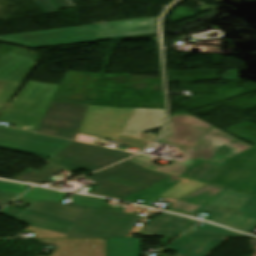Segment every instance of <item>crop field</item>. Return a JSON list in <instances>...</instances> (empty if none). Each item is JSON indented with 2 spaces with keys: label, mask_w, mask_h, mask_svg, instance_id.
<instances>
[{
  "label": "crop field",
  "mask_w": 256,
  "mask_h": 256,
  "mask_svg": "<svg viewBox=\"0 0 256 256\" xmlns=\"http://www.w3.org/2000/svg\"><path fill=\"white\" fill-rule=\"evenodd\" d=\"M19 193L0 191V200L11 201L15 199Z\"/></svg>",
  "instance_id": "27"
},
{
  "label": "crop field",
  "mask_w": 256,
  "mask_h": 256,
  "mask_svg": "<svg viewBox=\"0 0 256 256\" xmlns=\"http://www.w3.org/2000/svg\"><path fill=\"white\" fill-rule=\"evenodd\" d=\"M182 236L196 237H248L223 228L205 223L201 228H194Z\"/></svg>",
  "instance_id": "22"
},
{
  "label": "crop field",
  "mask_w": 256,
  "mask_h": 256,
  "mask_svg": "<svg viewBox=\"0 0 256 256\" xmlns=\"http://www.w3.org/2000/svg\"><path fill=\"white\" fill-rule=\"evenodd\" d=\"M8 202H0V208H2L3 206H5Z\"/></svg>",
  "instance_id": "28"
},
{
  "label": "crop field",
  "mask_w": 256,
  "mask_h": 256,
  "mask_svg": "<svg viewBox=\"0 0 256 256\" xmlns=\"http://www.w3.org/2000/svg\"><path fill=\"white\" fill-rule=\"evenodd\" d=\"M72 201L76 205L102 208L107 200L106 199H100V198H94V197L79 196V195L73 194Z\"/></svg>",
  "instance_id": "25"
},
{
  "label": "crop field",
  "mask_w": 256,
  "mask_h": 256,
  "mask_svg": "<svg viewBox=\"0 0 256 256\" xmlns=\"http://www.w3.org/2000/svg\"><path fill=\"white\" fill-rule=\"evenodd\" d=\"M196 223L187 218L162 213L150 219L138 236H177Z\"/></svg>",
  "instance_id": "17"
},
{
  "label": "crop field",
  "mask_w": 256,
  "mask_h": 256,
  "mask_svg": "<svg viewBox=\"0 0 256 256\" xmlns=\"http://www.w3.org/2000/svg\"><path fill=\"white\" fill-rule=\"evenodd\" d=\"M158 141L176 145L183 149L184 160L180 163L174 162L162 168L151 164V162L156 159L144 157L142 155L128 161L152 170L154 172L166 175H174L206 184L209 183V181L226 162V160H223L221 158L212 156L210 154L201 152L199 150L190 148L188 146L179 144L163 137H161Z\"/></svg>",
  "instance_id": "9"
},
{
  "label": "crop field",
  "mask_w": 256,
  "mask_h": 256,
  "mask_svg": "<svg viewBox=\"0 0 256 256\" xmlns=\"http://www.w3.org/2000/svg\"><path fill=\"white\" fill-rule=\"evenodd\" d=\"M221 190L222 188L170 176L124 201L135 203L141 199L145 201L140 205L146 206L158 196L166 197L178 200L168 211L189 215Z\"/></svg>",
  "instance_id": "5"
},
{
  "label": "crop field",
  "mask_w": 256,
  "mask_h": 256,
  "mask_svg": "<svg viewBox=\"0 0 256 256\" xmlns=\"http://www.w3.org/2000/svg\"><path fill=\"white\" fill-rule=\"evenodd\" d=\"M31 203L25 210L7 206L0 214L19 222L67 234L87 207L23 199Z\"/></svg>",
  "instance_id": "6"
},
{
  "label": "crop field",
  "mask_w": 256,
  "mask_h": 256,
  "mask_svg": "<svg viewBox=\"0 0 256 256\" xmlns=\"http://www.w3.org/2000/svg\"><path fill=\"white\" fill-rule=\"evenodd\" d=\"M73 141L13 130L0 126V148L54 158Z\"/></svg>",
  "instance_id": "13"
},
{
  "label": "crop field",
  "mask_w": 256,
  "mask_h": 256,
  "mask_svg": "<svg viewBox=\"0 0 256 256\" xmlns=\"http://www.w3.org/2000/svg\"><path fill=\"white\" fill-rule=\"evenodd\" d=\"M37 240L56 247L50 256H105V238Z\"/></svg>",
  "instance_id": "16"
},
{
  "label": "crop field",
  "mask_w": 256,
  "mask_h": 256,
  "mask_svg": "<svg viewBox=\"0 0 256 256\" xmlns=\"http://www.w3.org/2000/svg\"><path fill=\"white\" fill-rule=\"evenodd\" d=\"M98 75L67 71L37 132L74 140Z\"/></svg>",
  "instance_id": "2"
},
{
  "label": "crop field",
  "mask_w": 256,
  "mask_h": 256,
  "mask_svg": "<svg viewBox=\"0 0 256 256\" xmlns=\"http://www.w3.org/2000/svg\"><path fill=\"white\" fill-rule=\"evenodd\" d=\"M58 86L30 81L6 111L43 118ZM27 102L30 105H25Z\"/></svg>",
  "instance_id": "15"
},
{
  "label": "crop field",
  "mask_w": 256,
  "mask_h": 256,
  "mask_svg": "<svg viewBox=\"0 0 256 256\" xmlns=\"http://www.w3.org/2000/svg\"><path fill=\"white\" fill-rule=\"evenodd\" d=\"M226 239L179 237L165 249L178 252L175 256H207Z\"/></svg>",
  "instance_id": "18"
},
{
  "label": "crop field",
  "mask_w": 256,
  "mask_h": 256,
  "mask_svg": "<svg viewBox=\"0 0 256 256\" xmlns=\"http://www.w3.org/2000/svg\"><path fill=\"white\" fill-rule=\"evenodd\" d=\"M163 137L226 160L253 147L183 111L169 117Z\"/></svg>",
  "instance_id": "4"
},
{
  "label": "crop field",
  "mask_w": 256,
  "mask_h": 256,
  "mask_svg": "<svg viewBox=\"0 0 256 256\" xmlns=\"http://www.w3.org/2000/svg\"><path fill=\"white\" fill-rule=\"evenodd\" d=\"M254 256H256V252H255Z\"/></svg>",
  "instance_id": "29"
},
{
  "label": "crop field",
  "mask_w": 256,
  "mask_h": 256,
  "mask_svg": "<svg viewBox=\"0 0 256 256\" xmlns=\"http://www.w3.org/2000/svg\"><path fill=\"white\" fill-rule=\"evenodd\" d=\"M61 170L63 169H60L58 167H55L49 164L39 172L27 169L12 180H17L22 182H32L35 184H48V183L54 182L48 178L58 173Z\"/></svg>",
  "instance_id": "20"
},
{
  "label": "crop field",
  "mask_w": 256,
  "mask_h": 256,
  "mask_svg": "<svg viewBox=\"0 0 256 256\" xmlns=\"http://www.w3.org/2000/svg\"><path fill=\"white\" fill-rule=\"evenodd\" d=\"M140 239L106 238V256H139Z\"/></svg>",
  "instance_id": "19"
},
{
  "label": "crop field",
  "mask_w": 256,
  "mask_h": 256,
  "mask_svg": "<svg viewBox=\"0 0 256 256\" xmlns=\"http://www.w3.org/2000/svg\"><path fill=\"white\" fill-rule=\"evenodd\" d=\"M58 8L75 6L70 0H52ZM44 14L57 13L56 8L50 0H34Z\"/></svg>",
  "instance_id": "24"
},
{
  "label": "crop field",
  "mask_w": 256,
  "mask_h": 256,
  "mask_svg": "<svg viewBox=\"0 0 256 256\" xmlns=\"http://www.w3.org/2000/svg\"><path fill=\"white\" fill-rule=\"evenodd\" d=\"M158 17L83 27L0 36V41L16 42L29 47L103 40L156 33Z\"/></svg>",
  "instance_id": "3"
},
{
  "label": "crop field",
  "mask_w": 256,
  "mask_h": 256,
  "mask_svg": "<svg viewBox=\"0 0 256 256\" xmlns=\"http://www.w3.org/2000/svg\"><path fill=\"white\" fill-rule=\"evenodd\" d=\"M139 219L124 212L89 208L65 238L127 237Z\"/></svg>",
  "instance_id": "10"
},
{
  "label": "crop field",
  "mask_w": 256,
  "mask_h": 256,
  "mask_svg": "<svg viewBox=\"0 0 256 256\" xmlns=\"http://www.w3.org/2000/svg\"><path fill=\"white\" fill-rule=\"evenodd\" d=\"M131 155L133 154L74 142L51 163L75 171L83 169L92 172Z\"/></svg>",
  "instance_id": "11"
},
{
  "label": "crop field",
  "mask_w": 256,
  "mask_h": 256,
  "mask_svg": "<svg viewBox=\"0 0 256 256\" xmlns=\"http://www.w3.org/2000/svg\"><path fill=\"white\" fill-rule=\"evenodd\" d=\"M30 187L31 186H24V185H20V184L0 182V190H4V191L23 193Z\"/></svg>",
  "instance_id": "26"
},
{
  "label": "crop field",
  "mask_w": 256,
  "mask_h": 256,
  "mask_svg": "<svg viewBox=\"0 0 256 256\" xmlns=\"http://www.w3.org/2000/svg\"><path fill=\"white\" fill-rule=\"evenodd\" d=\"M37 59V55L18 49L0 55V111L25 80Z\"/></svg>",
  "instance_id": "14"
},
{
  "label": "crop field",
  "mask_w": 256,
  "mask_h": 256,
  "mask_svg": "<svg viewBox=\"0 0 256 256\" xmlns=\"http://www.w3.org/2000/svg\"><path fill=\"white\" fill-rule=\"evenodd\" d=\"M164 112L88 105L78 132L128 142L129 147L142 150L156 137L143 133L160 127Z\"/></svg>",
  "instance_id": "1"
},
{
  "label": "crop field",
  "mask_w": 256,
  "mask_h": 256,
  "mask_svg": "<svg viewBox=\"0 0 256 256\" xmlns=\"http://www.w3.org/2000/svg\"><path fill=\"white\" fill-rule=\"evenodd\" d=\"M209 184L256 195V146L228 160Z\"/></svg>",
  "instance_id": "12"
},
{
  "label": "crop field",
  "mask_w": 256,
  "mask_h": 256,
  "mask_svg": "<svg viewBox=\"0 0 256 256\" xmlns=\"http://www.w3.org/2000/svg\"><path fill=\"white\" fill-rule=\"evenodd\" d=\"M166 177L126 161L86 178L97 181L89 194L125 199Z\"/></svg>",
  "instance_id": "8"
},
{
  "label": "crop field",
  "mask_w": 256,
  "mask_h": 256,
  "mask_svg": "<svg viewBox=\"0 0 256 256\" xmlns=\"http://www.w3.org/2000/svg\"><path fill=\"white\" fill-rule=\"evenodd\" d=\"M0 121L16 124L20 129L37 131L42 119L3 111Z\"/></svg>",
  "instance_id": "21"
},
{
  "label": "crop field",
  "mask_w": 256,
  "mask_h": 256,
  "mask_svg": "<svg viewBox=\"0 0 256 256\" xmlns=\"http://www.w3.org/2000/svg\"><path fill=\"white\" fill-rule=\"evenodd\" d=\"M208 210L213 215L209 221L244 232L256 228V196L224 189L190 216Z\"/></svg>",
  "instance_id": "7"
},
{
  "label": "crop field",
  "mask_w": 256,
  "mask_h": 256,
  "mask_svg": "<svg viewBox=\"0 0 256 256\" xmlns=\"http://www.w3.org/2000/svg\"><path fill=\"white\" fill-rule=\"evenodd\" d=\"M66 196H67V194H65V193H59L57 191L35 187L34 189L29 191L22 197L56 202V203H62V201L65 199Z\"/></svg>",
  "instance_id": "23"
}]
</instances>
